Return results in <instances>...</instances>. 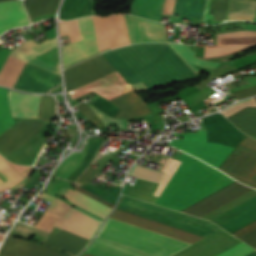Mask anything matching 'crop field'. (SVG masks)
Wrapping results in <instances>:
<instances>
[{"instance_id":"obj_1","label":"crop field","mask_w":256,"mask_h":256,"mask_svg":"<svg viewBox=\"0 0 256 256\" xmlns=\"http://www.w3.org/2000/svg\"><path fill=\"white\" fill-rule=\"evenodd\" d=\"M196 74L192 65L215 68L219 63L194 57L189 46L169 44ZM168 44H138L105 53L118 70L133 84L143 81L148 89L196 77L190 68ZM141 83L133 84L137 90L147 89Z\"/></svg>"},{"instance_id":"obj_2","label":"crop field","mask_w":256,"mask_h":256,"mask_svg":"<svg viewBox=\"0 0 256 256\" xmlns=\"http://www.w3.org/2000/svg\"><path fill=\"white\" fill-rule=\"evenodd\" d=\"M99 50L114 49L139 42H166L165 26L138 17L115 14L93 17ZM92 17L77 20L81 40L63 47L64 67L99 52ZM76 20L60 22L61 36L70 35L72 42L80 39ZM97 54V53H96Z\"/></svg>"},{"instance_id":"obj_3","label":"crop field","mask_w":256,"mask_h":256,"mask_svg":"<svg viewBox=\"0 0 256 256\" xmlns=\"http://www.w3.org/2000/svg\"><path fill=\"white\" fill-rule=\"evenodd\" d=\"M113 71H115V69L102 54L70 67L64 70L67 91L70 92ZM90 91H94L111 99L131 91V88L125 82L123 77L115 71L70 92V96L72 99H75ZM111 100L122 109L102 96L98 98L93 105L111 117L121 109L113 116L118 118L142 116L151 112L143 99L138 97L133 91Z\"/></svg>"},{"instance_id":"obj_4","label":"crop field","mask_w":256,"mask_h":256,"mask_svg":"<svg viewBox=\"0 0 256 256\" xmlns=\"http://www.w3.org/2000/svg\"><path fill=\"white\" fill-rule=\"evenodd\" d=\"M116 208L204 237L221 229L207 220L170 210L124 195H121ZM117 209L114 211V213L112 212L113 214L110 216V218L123 221L191 244L204 238Z\"/></svg>"},{"instance_id":"obj_5","label":"crop field","mask_w":256,"mask_h":256,"mask_svg":"<svg viewBox=\"0 0 256 256\" xmlns=\"http://www.w3.org/2000/svg\"><path fill=\"white\" fill-rule=\"evenodd\" d=\"M178 170L156 201L181 211L234 180L182 152Z\"/></svg>"},{"instance_id":"obj_6","label":"crop field","mask_w":256,"mask_h":256,"mask_svg":"<svg viewBox=\"0 0 256 256\" xmlns=\"http://www.w3.org/2000/svg\"><path fill=\"white\" fill-rule=\"evenodd\" d=\"M151 256H171L191 245L108 218L98 235Z\"/></svg>"},{"instance_id":"obj_7","label":"crop field","mask_w":256,"mask_h":256,"mask_svg":"<svg viewBox=\"0 0 256 256\" xmlns=\"http://www.w3.org/2000/svg\"><path fill=\"white\" fill-rule=\"evenodd\" d=\"M15 125L0 135V154L13 163L33 165L48 126L39 119L14 118Z\"/></svg>"},{"instance_id":"obj_8","label":"crop field","mask_w":256,"mask_h":256,"mask_svg":"<svg viewBox=\"0 0 256 256\" xmlns=\"http://www.w3.org/2000/svg\"><path fill=\"white\" fill-rule=\"evenodd\" d=\"M207 0H134L131 14L160 22L161 15L195 17L202 21ZM256 1V0H252ZM228 0H219L214 21L226 19Z\"/></svg>"},{"instance_id":"obj_9","label":"crop field","mask_w":256,"mask_h":256,"mask_svg":"<svg viewBox=\"0 0 256 256\" xmlns=\"http://www.w3.org/2000/svg\"><path fill=\"white\" fill-rule=\"evenodd\" d=\"M218 169L248 185L256 176V141L246 136ZM249 186L256 188V177Z\"/></svg>"},{"instance_id":"obj_10","label":"crop field","mask_w":256,"mask_h":256,"mask_svg":"<svg viewBox=\"0 0 256 256\" xmlns=\"http://www.w3.org/2000/svg\"><path fill=\"white\" fill-rule=\"evenodd\" d=\"M197 133L177 134L184 136L183 140H173L170 145L175 146L189 154H192L216 168L230 154L234 147L219 143H206L205 130H196Z\"/></svg>"},{"instance_id":"obj_11","label":"crop field","mask_w":256,"mask_h":256,"mask_svg":"<svg viewBox=\"0 0 256 256\" xmlns=\"http://www.w3.org/2000/svg\"><path fill=\"white\" fill-rule=\"evenodd\" d=\"M89 139L86 143V149L84 153L76 154L73 153L67 159H65L58 167L54 176H57L62 179H66L67 176L71 173V171L75 168V166L80 162V160L84 157L87 151ZM105 139L100 137H91L90 144L88 148V152L85 157L81 160V162L77 165V167L72 171V173L68 176L67 180L74 182L77 177L84 171V169L89 165V163L93 160L94 156L98 152L99 148L103 144ZM99 172L89 168L84 175L78 180V182L84 184L87 181L95 178Z\"/></svg>"},{"instance_id":"obj_12","label":"crop field","mask_w":256,"mask_h":256,"mask_svg":"<svg viewBox=\"0 0 256 256\" xmlns=\"http://www.w3.org/2000/svg\"><path fill=\"white\" fill-rule=\"evenodd\" d=\"M53 197V196H52ZM50 196H47L43 193H41L38 198H42L45 200H48L52 202L47 209V212L58 214L61 216H65L67 210L71 207L55 198H52ZM64 198L68 199L72 203L76 204L77 206L105 219L106 216L111 211V208L87 197L86 195L74 190H68V192L65 194Z\"/></svg>"},{"instance_id":"obj_13","label":"crop field","mask_w":256,"mask_h":256,"mask_svg":"<svg viewBox=\"0 0 256 256\" xmlns=\"http://www.w3.org/2000/svg\"><path fill=\"white\" fill-rule=\"evenodd\" d=\"M240 242L221 229L173 256H215Z\"/></svg>"},{"instance_id":"obj_14","label":"crop field","mask_w":256,"mask_h":256,"mask_svg":"<svg viewBox=\"0 0 256 256\" xmlns=\"http://www.w3.org/2000/svg\"><path fill=\"white\" fill-rule=\"evenodd\" d=\"M201 120L208 133L207 142H219L236 147L245 136L219 113Z\"/></svg>"},{"instance_id":"obj_15","label":"crop field","mask_w":256,"mask_h":256,"mask_svg":"<svg viewBox=\"0 0 256 256\" xmlns=\"http://www.w3.org/2000/svg\"><path fill=\"white\" fill-rule=\"evenodd\" d=\"M101 223L102 220L71 207L65 218L59 216L55 226L91 241Z\"/></svg>"},{"instance_id":"obj_16","label":"crop field","mask_w":256,"mask_h":256,"mask_svg":"<svg viewBox=\"0 0 256 256\" xmlns=\"http://www.w3.org/2000/svg\"><path fill=\"white\" fill-rule=\"evenodd\" d=\"M249 190L235 181L182 212L201 217Z\"/></svg>"},{"instance_id":"obj_17","label":"crop field","mask_w":256,"mask_h":256,"mask_svg":"<svg viewBox=\"0 0 256 256\" xmlns=\"http://www.w3.org/2000/svg\"><path fill=\"white\" fill-rule=\"evenodd\" d=\"M60 81V76L28 63L15 88L27 92L46 93Z\"/></svg>"},{"instance_id":"obj_18","label":"crop field","mask_w":256,"mask_h":256,"mask_svg":"<svg viewBox=\"0 0 256 256\" xmlns=\"http://www.w3.org/2000/svg\"><path fill=\"white\" fill-rule=\"evenodd\" d=\"M217 41H221V45L205 46L204 57L215 56L227 52L235 51L246 45L256 42V32L241 31L227 34L217 35Z\"/></svg>"},{"instance_id":"obj_19","label":"crop field","mask_w":256,"mask_h":256,"mask_svg":"<svg viewBox=\"0 0 256 256\" xmlns=\"http://www.w3.org/2000/svg\"><path fill=\"white\" fill-rule=\"evenodd\" d=\"M10 237L0 250L1 256H68L40 244Z\"/></svg>"},{"instance_id":"obj_20","label":"crop field","mask_w":256,"mask_h":256,"mask_svg":"<svg viewBox=\"0 0 256 256\" xmlns=\"http://www.w3.org/2000/svg\"><path fill=\"white\" fill-rule=\"evenodd\" d=\"M29 24L22 1H8L0 3V34L21 25Z\"/></svg>"},{"instance_id":"obj_21","label":"crop field","mask_w":256,"mask_h":256,"mask_svg":"<svg viewBox=\"0 0 256 256\" xmlns=\"http://www.w3.org/2000/svg\"><path fill=\"white\" fill-rule=\"evenodd\" d=\"M41 96L9 91V102L13 117L37 118Z\"/></svg>"},{"instance_id":"obj_22","label":"crop field","mask_w":256,"mask_h":256,"mask_svg":"<svg viewBox=\"0 0 256 256\" xmlns=\"http://www.w3.org/2000/svg\"><path fill=\"white\" fill-rule=\"evenodd\" d=\"M88 243L89 241L63 230L49 240L45 241L43 244L76 256Z\"/></svg>"},{"instance_id":"obj_23","label":"crop field","mask_w":256,"mask_h":256,"mask_svg":"<svg viewBox=\"0 0 256 256\" xmlns=\"http://www.w3.org/2000/svg\"><path fill=\"white\" fill-rule=\"evenodd\" d=\"M57 46V40L54 38L53 40H46L40 44H36L32 40L25 41L17 48L11 51L10 56L21 59L23 61L28 62L37 54L41 55L42 53L54 48Z\"/></svg>"},{"instance_id":"obj_24","label":"crop field","mask_w":256,"mask_h":256,"mask_svg":"<svg viewBox=\"0 0 256 256\" xmlns=\"http://www.w3.org/2000/svg\"><path fill=\"white\" fill-rule=\"evenodd\" d=\"M97 256H146L142 253L95 238L92 245L85 251Z\"/></svg>"},{"instance_id":"obj_25","label":"crop field","mask_w":256,"mask_h":256,"mask_svg":"<svg viewBox=\"0 0 256 256\" xmlns=\"http://www.w3.org/2000/svg\"><path fill=\"white\" fill-rule=\"evenodd\" d=\"M256 13V2L246 0H230L228 21L251 20Z\"/></svg>"},{"instance_id":"obj_26","label":"crop field","mask_w":256,"mask_h":256,"mask_svg":"<svg viewBox=\"0 0 256 256\" xmlns=\"http://www.w3.org/2000/svg\"><path fill=\"white\" fill-rule=\"evenodd\" d=\"M228 120L248 135L256 136V108H247Z\"/></svg>"},{"instance_id":"obj_27","label":"crop field","mask_w":256,"mask_h":256,"mask_svg":"<svg viewBox=\"0 0 256 256\" xmlns=\"http://www.w3.org/2000/svg\"><path fill=\"white\" fill-rule=\"evenodd\" d=\"M158 184L143 180H137L134 187L125 185L122 194L137 197L155 203L157 197L152 196Z\"/></svg>"},{"instance_id":"obj_28","label":"crop field","mask_w":256,"mask_h":256,"mask_svg":"<svg viewBox=\"0 0 256 256\" xmlns=\"http://www.w3.org/2000/svg\"><path fill=\"white\" fill-rule=\"evenodd\" d=\"M24 65L25 62L8 56L2 70L0 71V85L13 87Z\"/></svg>"},{"instance_id":"obj_29","label":"crop field","mask_w":256,"mask_h":256,"mask_svg":"<svg viewBox=\"0 0 256 256\" xmlns=\"http://www.w3.org/2000/svg\"><path fill=\"white\" fill-rule=\"evenodd\" d=\"M58 3L59 0H27L25 1V7L31 19H33L41 15L55 14Z\"/></svg>"},{"instance_id":"obj_30","label":"crop field","mask_w":256,"mask_h":256,"mask_svg":"<svg viewBox=\"0 0 256 256\" xmlns=\"http://www.w3.org/2000/svg\"><path fill=\"white\" fill-rule=\"evenodd\" d=\"M92 12L93 9L90 0H65L60 17H71Z\"/></svg>"},{"instance_id":"obj_31","label":"crop field","mask_w":256,"mask_h":256,"mask_svg":"<svg viewBox=\"0 0 256 256\" xmlns=\"http://www.w3.org/2000/svg\"><path fill=\"white\" fill-rule=\"evenodd\" d=\"M0 169L10 177L9 178L4 172L0 170V183L4 182L6 179L9 178L4 183L0 184V191L8 189L11 186L15 185L17 182H19L20 180L24 179L13 167H11L1 157H0Z\"/></svg>"},{"instance_id":"obj_32","label":"crop field","mask_w":256,"mask_h":256,"mask_svg":"<svg viewBox=\"0 0 256 256\" xmlns=\"http://www.w3.org/2000/svg\"><path fill=\"white\" fill-rule=\"evenodd\" d=\"M256 207V197L250 199L249 201L237 206L236 208L224 213L223 215L211 220L212 222L218 224V225H223L230 220L240 216L241 214L249 211L250 209Z\"/></svg>"},{"instance_id":"obj_33","label":"crop field","mask_w":256,"mask_h":256,"mask_svg":"<svg viewBox=\"0 0 256 256\" xmlns=\"http://www.w3.org/2000/svg\"><path fill=\"white\" fill-rule=\"evenodd\" d=\"M13 124L7 101V90L0 88V134Z\"/></svg>"},{"instance_id":"obj_34","label":"crop field","mask_w":256,"mask_h":256,"mask_svg":"<svg viewBox=\"0 0 256 256\" xmlns=\"http://www.w3.org/2000/svg\"><path fill=\"white\" fill-rule=\"evenodd\" d=\"M256 196V190H251L245 194H243L242 196L232 200L231 202L225 204L224 206H222L221 208L215 210L214 212L202 217V218H205L207 220H211L221 214H223L224 212L236 207L237 205L249 200L250 198Z\"/></svg>"},{"instance_id":"obj_35","label":"crop field","mask_w":256,"mask_h":256,"mask_svg":"<svg viewBox=\"0 0 256 256\" xmlns=\"http://www.w3.org/2000/svg\"><path fill=\"white\" fill-rule=\"evenodd\" d=\"M80 187L96 196H99L101 198L105 197V198L115 201V202L117 200V197H118L120 189H121V187L116 186L114 184H112V186L109 188L108 191L105 189H102L100 187L93 186L89 183H86Z\"/></svg>"},{"instance_id":"obj_36","label":"crop field","mask_w":256,"mask_h":256,"mask_svg":"<svg viewBox=\"0 0 256 256\" xmlns=\"http://www.w3.org/2000/svg\"><path fill=\"white\" fill-rule=\"evenodd\" d=\"M129 176L160 183L164 173L146 169L135 164Z\"/></svg>"},{"instance_id":"obj_37","label":"crop field","mask_w":256,"mask_h":256,"mask_svg":"<svg viewBox=\"0 0 256 256\" xmlns=\"http://www.w3.org/2000/svg\"><path fill=\"white\" fill-rule=\"evenodd\" d=\"M56 116L55 102L51 96H42L38 118L48 123Z\"/></svg>"},{"instance_id":"obj_38","label":"crop field","mask_w":256,"mask_h":256,"mask_svg":"<svg viewBox=\"0 0 256 256\" xmlns=\"http://www.w3.org/2000/svg\"><path fill=\"white\" fill-rule=\"evenodd\" d=\"M254 220H256V208L221 227L232 233Z\"/></svg>"},{"instance_id":"obj_39","label":"crop field","mask_w":256,"mask_h":256,"mask_svg":"<svg viewBox=\"0 0 256 256\" xmlns=\"http://www.w3.org/2000/svg\"><path fill=\"white\" fill-rule=\"evenodd\" d=\"M34 233L45 236V237H47V235H48V232L35 229L31 226H28V225L20 223V222L16 223L14 228L11 230L10 235L30 238L33 236Z\"/></svg>"},{"instance_id":"obj_40","label":"crop field","mask_w":256,"mask_h":256,"mask_svg":"<svg viewBox=\"0 0 256 256\" xmlns=\"http://www.w3.org/2000/svg\"><path fill=\"white\" fill-rule=\"evenodd\" d=\"M233 234L256 249V221Z\"/></svg>"},{"instance_id":"obj_41","label":"crop field","mask_w":256,"mask_h":256,"mask_svg":"<svg viewBox=\"0 0 256 256\" xmlns=\"http://www.w3.org/2000/svg\"><path fill=\"white\" fill-rule=\"evenodd\" d=\"M247 82L249 84L238 87V88H234V89H230V93L247 88V87H251V86H255L256 85V76L247 79ZM256 94V87H252V88H248V89H244L235 93H232V95L236 98V100L245 98L247 96H251V95H255Z\"/></svg>"},{"instance_id":"obj_42","label":"crop field","mask_w":256,"mask_h":256,"mask_svg":"<svg viewBox=\"0 0 256 256\" xmlns=\"http://www.w3.org/2000/svg\"><path fill=\"white\" fill-rule=\"evenodd\" d=\"M29 63L34 64L36 66H39L41 68H44L46 70H49L51 72L60 74V69L57 62H54L52 60L46 59L41 56L34 57Z\"/></svg>"},{"instance_id":"obj_43","label":"crop field","mask_w":256,"mask_h":256,"mask_svg":"<svg viewBox=\"0 0 256 256\" xmlns=\"http://www.w3.org/2000/svg\"><path fill=\"white\" fill-rule=\"evenodd\" d=\"M76 107L87 117L89 122H91L92 124L96 125L101 129L106 127L86 103L82 102Z\"/></svg>"},{"instance_id":"obj_44","label":"crop field","mask_w":256,"mask_h":256,"mask_svg":"<svg viewBox=\"0 0 256 256\" xmlns=\"http://www.w3.org/2000/svg\"><path fill=\"white\" fill-rule=\"evenodd\" d=\"M253 250L255 249L242 242L217 256H244Z\"/></svg>"},{"instance_id":"obj_45","label":"crop field","mask_w":256,"mask_h":256,"mask_svg":"<svg viewBox=\"0 0 256 256\" xmlns=\"http://www.w3.org/2000/svg\"><path fill=\"white\" fill-rule=\"evenodd\" d=\"M246 107H256V100L255 98H251L249 100L241 101L233 106L221 111L226 117L233 115L234 113L246 108Z\"/></svg>"},{"instance_id":"obj_46","label":"crop field","mask_w":256,"mask_h":256,"mask_svg":"<svg viewBox=\"0 0 256 256\" xmlns=\"http://www.w3.org/2000/svg\"><path fill=\"white\" fill-rule=\"evenodd\" d=\"M58 216L44 212L35 227L50 232Z\"/></svg>"},{"instance_id":"obj_47","label":"crop field","mask_w":256,"mask_h":256,"mask_svg":"<svg viewBox=\"0 0 256 256\" xmlns=\"http://www.w3.org/2000/svg\"><path fill=\"white\" fill-rule=\"evenodd\" d=\"M89 106L93 109V111L102 119V121L107 126L115 124L119 129L126 128V120L110 118V117L106 116L105 114H103L102 112H100L99 110H97L96 108H94L93 106H91V105H89Z\"/></svg>"},{"instance_id":"obj_48","label":"crop field","mask_w":256,"mask_h":256,"mask_svg":"<svg viewBox=\"0 0 256 256\" xmlns=\"http://www.w3.org/2000/svg\"><path fill=\"white\" fill-rule=\"evenodd\" d=\"M2 49V47H0V50ZM10 53V50L8 49H5L3 48L1 51H0V69L1 67L3 66L7 56L9 55Z\"/></svg>"},{"instance_id":"obj_49","label":"crop field","mask_w":256,"mask_h":256,"mask_svg":"<svg viewBox=\"0 0 256 256\" xmlns=\"http://www.w3.org/2000/svg\"><path fill=\"white\" fill-rule=\"evenodd\" d=\"M76 189L79 190V191H81V192H83L84 194H86V195H88V196H90V197H92V198H94V199H96V200H98V201H100V202H102V203H104V204H106V205L112 207V208L114 207V204H112V203H110V202H107V201H105V200H102V199H100V198H98V197H95V196H93L92 194H90V193H88V192H86V191L80 189L79 187H77Z\"/></svg>"},{"instance_id":"obj_50","label":"crop field","mask_w":256,"mask_h":256,"mask_svg":"<svg viewBox=\"0 0 256 256\" xmlns=\"http://www.w3.org/2000/svg\"><path fill=\"white\" fill-rule=\"evenodd\" d=\"M213 79H215V77L209 75L207 79L201 81V82H200L199 84H197L196 86H197L200 90H202V89L208 87L206 84L209 83L210 81H212Z\"/></svg>"},{"instance_id":"obj_51","label":"crop field","mask_w":256,"mask_h":256,"mask_svg":"<svg viewBox=\"0 0 256 256\" xmlns=\"http://www.w3.org/2000/svg\"><path fill=\"white\" fill-rule=\"evenodd\" d=\"M247 256H256V251L251 253V254H249V255H247Z\"/></svg>"},{"instance_id":"obj_52","label":"crop field","mask_w":256,"mask_h":256,"mask_svg":"<svg viewBox=\"0 0 256 256\" xmlns=\"http://www.w3.org/2000/svg\"><path fill=\"white\" fill-rule=\"evenodd\" d=\"M1 229H2V230H6V231H8V228L3 227V226L1 227Z\"/></svg>"},{"instance_id":"obj_53","label":"crop field","mask_w":256,"mask_h":256,"mask_svg":"<svg viewBox=\"0 0 256 256\" xmlns=\"http://www.w3.org/2000/svg\"><path fill=\"white\" fill-rule=\"evenodd\" d=\"M254 22H256V15H255V18H254V20H253Z\"/></svg>"},{"instance_id":"obj_54","label":"crop field","mask_w":256,"mask_h":256,"mask_svg":"<svg viewBox=\"0 0 256 256\" xmlns=\"http://www.w3.org/2000/svg\"><path fill=\"white\" fill-rule=\"evenodd\" d=\"M84 256H90V255L85 254Z\"/></svg>"},{"instance_id":"obj_55","label":"crop field","mask_w":256,"mask_h":256,"mask_svg":"<svg viewBox=\"0 0 256 256\" xmlns=\"http://www.w3.org/2000/svg\"><path fill=\"white\" fill-rule=\"evenodd\" d=\"M85 253H83L81 256H83Z\"/></svg>"},{"instance_id":"obj_56","label":"crop field","mask_w":256,"mask_h":256,"mask_svg":"<svg viewBox=\"0 0 256 256\" xmlns=\"http://www.w3.org/2000/svg\"><path fill=\"white\" fill-rule=\"evenodd\" d=\"M253 138H255V139H256V137H253Z\"/></svg>"},{"instance_id":"obj_57","label":"crop field","mask_w":256,"mask_h":256,"mask_svg":"<svg viewBox=\"0 0 256 256\" xmlns=\"http://www.w3.org/2000/svg\"><path fill=\"white\" fill-rule=\"evenodd\" d=\"M0 1H4V0H0Z\"/></svg>"}]
</instances>
